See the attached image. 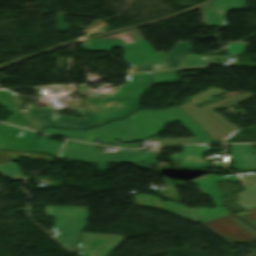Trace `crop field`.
<instances>
[{"instance_id": "1", "label": "crop field", "mask_w": 256, "mask_h": 256, "mask_svg": "<svg viewBox=\"0 0 256 256\" xmlns=\"http://www.w3.org/2000/svg\"><path fill=\"white\" fill-rule=\"evenodd\" d=\"M176 120L195 137L160 139L163 146L194 141L201 143L214 141L177 106L167 110H138L124 120L87 130L84 141L96 143L95 140L98 139L102 144H115L117 139L124 143L138 141L140 138L145 140L164 131L167 123Z\"/></svg>"}, {"instance_id": "2", "label": "crop field", "mask_w": 256, "mask_h": 256, "mask_svg": "<svg viewBox=\"0 0 256 256\" xmlns=\"http://www.w3.org/2000/svg\"><path fill=\"white\" fill-rule=\"evenodd\" d=\"M151 78V73L130 75L127 84L113 88L107 95L94 100L85 98L86 116L95 126L123 118L138 109L139 97L150 85Z\"/></svg>"}, {"instance_id": "3", "label": "crop field", "mask_w": 256, "mask_h": 256, "mask_svg": "<svg viewBox=\"0 0 256 256\" xmlns=\"http://www.w3.org/2000/svg\"><path fill=\"white\" fill-rule=\"evenodd\" d=\"M75 143L67 142L60 157L87 161V162H98V166L101 171H104L105 166L108 162H132L139 166L145 167L150 163H153L157 159V153H143L140 150L126 149L118 153L111 155L101 154L96 145L86 143ZM142 162H145L144 164Z\"/></svg>"}, {"instance_id": "4", "label": "crop field", "mask_w": 256, "mask_h": 256, "mask_svg": "<svg viewBox=\"0 0 256 256\" xmlns=\"http://www.w3.org/2000/svg\"><path fill=\"white\" fill-rule=\"evenodd\" d=\"M145 41L138 39L132 44H125V41L122 40H88L82 46L86 51L111 50L115 47H123L125 52L123 58L133 66L160 63L167 54L164 51L157 53Z\"/></svg>"}, {"instance_id": "5", "label": "crop field", "mask_w": 256, "mask_h": 256, "mask_svg": "<svg viewBox=\"0 0 256 256\" xmlns=\"http://www.w3.org/2000/svg\"><path fill=\"white\" fill-rule=\"evenodd\" d=\"M88 208L46 206V213L56 218L55 236L66 247H76L78 236L88 224Z\"/></svg>"}, {"instance_id": "6", "label": "crop field", "mask_w": 256, "mask_h": 256, "mask_svg": "<svg viewBox=\"0 0 256 256\" xmlns=\"http://www.w3.org/2000/svg\"><path fill=\"white\" fill-rule=\"evenodd\" d=\"M217 181H238V180L235 175L220 177V176L209 174L207 176L200 177L191 181V183H195L199 185V188L202 193L211 195L213 201L217 206V208H213V209H208V208L196 209L201 224L211 220L230 216V213L228 212V210L222 207L223 194L221 193L216 183Z\"/></svg>"}, {"instance_id": "7", "label": "crop field", "mask_w": 256, "mask_h": 256, "mask_svg": "<svg viewBox=\"0 0 256 256\" xmlns=\"http://www.w3.org/2000/svg\"><path fill=\"white\" fill-rule=\"evenodd\" d=\"M124 239L119 235L83 233L79 252L82 256H109Z\"/></svg>"}, {"instance_id": "8", "label": "crop field", "mask_w": 256, "mask_h": 256, "mask_svg": "<svg viewBox=\"0 0 256 256\" xmlns=\"http://www.w3.org/2000/svg\"><path fill=\"white\" fill-rule=\"evenodd\" d=\"M36 123L40 126H52V127H64V128H74L82 129L93 126V124L86 119H75L63 115H57L55 111L50 107L45 109H31L30 114H28Z\"/></svg>"}, {"instance_id": "9", "label": "crop field", "mask_w": 256, "mask_h": 256, "mask_svg": "<svg viewBox=\"0 0 256 256\" xmlns=\"http://www.w3.org/2000/svg\"><path fill=\"white\" fill-rule=\"evenodd\" d=\"M135 198H136L137 206L156 208V209H159L177 216H181L199 223L195 209H186L181 204H177L169 201L161 202L160 198L148 196V195H137L135 196Z\"/></svg>"}, {"instance_id": "10", "label": "crop field", "mask_w": 256, "mask_h": 256, "mask_svg": "<svg viewBox=\"0 0 256 256\" xmlns=\"http://www.w3.org/2000/svg\"><path fill=\"white\" fill-rule=\"evenodd\" d=\"M229 9H246V0H214L203 14V24L225 26L224 15Z\"/></svg>"}, {"instance_id": "11", "label": "crop field", "mask_w": 256, "mask_h": 256, "mask_svg": "<svg viewBox=\"0 0 256 256\" xmlns=\"http://www.w3.org/2000/svg\"><path fill=\"white\" fill-rule=\"evenodd\" d=\"M208 150L209 145L184 146L182 154L174 153L171 159L179 160L181 167H208L209 163L202 160L203 154Z\"/></svg>"}, {"instance_id": "12", "label": "crop field", "mask_w": 256, "mask_h": 256, "mask_svg": "<svg viewBox=\"0 0 256 256\" xmlns=\"http://www.w3.org/2000/svg\"><path fill=\"white\" fill-rule=\"evenodd\" d=\"M215 221L247 243L256 240V230L235 215Z\"/></svg>"}, {"instance_id": "13", "label": "crop field", "mask_w": 256, "mask_h": 256, "mask_svg": "<svg viewBox=\"0 0 256 256\" xmlns=\"http://www.w3.org/2000/svg\"><path fill=\"white\" fill-rule=\"evenodd\" d=\"M192 46L189 45V42L178 41L174 48L170 51V53L165 57L161 64L151 65V66H143L139 67L141 71L156 69V68H164L169 66L177 65L181 59L190 52Z\"/></svg>"}, {"instance_id": "14", "label": "crop field", "mask_w": 256, "mask_h": 256, "mask_svg": "<svg viewBox=\"0 0 256 256\" xmlns=\"http://www.w3.org/2000/svg\"><path fill=\"white\" fill-rule=\"evenodd\" d=\"M47 139H48L47 136L38 137L34 151L35 152H46L56 158L63 143L56 142V141H50Z\"/></svg>"}, {"instance_id": "15", "label": "crop field", "mask_w": 256, "mask_h": 256, "mask_svg": "<svg viewBox=\"0 0 256 256\" xmlns=\"http://www.w3.org/2000/svg\"><path fill=\"white\" fill-rule=\"evenodd\" d=\"M19 156H23V157L29 158L31 160L40 159V160H46L49 162H52L54 160L51 157H49L47 155H43V154L0 151V163L13 161L14 159H16Z\"/></svg>"}, {"instance_id": "16", "label": "crop field", "mask_w": 256, "mask_h": 256, "mask_svg": "<svg viewBox=\"0 0 256 256\" xmlns=\"http://www.w3.org/2000/svg\"><path fill=\"white\" fill-rule=\"evenodd\" d=\"M185 69H205V67L184 68V69H177V70H166V71H161V72H154V80L148 90H150L155 84L179 82V80L174 72L180 71V70H185Z\"/></svg>"}, {"instance_id": "17", "label": "crop field", "mask_w": 256, "mask_h": 256, "mask_svg": "<svg viewBox=\"0 0 256 256\" xmlns=\"http://www.w3.org/2000/svg\"><path fill=\"white\" fill-rule=\"evenodd\" d=\"M202 225L208 228L209 230H211L212 232H214L215 234H217L219 237L224 239L229 244H232L235 242H243L242 240H240L239 238L231 234L229 231H227L226 229H224L214 221L208 222Z\"/></svg>"}, {"instance_id": "18", "label": "crop field", "mask_w": 256, "mask_h": 256, "mask_svg": "<svg viewBox=\"0 0 256 256\" xmlns=\"http://www.w3.org/2000/svg\"><path fill=\"white\" fill-rule=\"evenodd\" d=\"M41 132L51 134V135L64 136L68 139L80 140V141H83L84 133H85V131L60 130V129H52V128H43Z\"/></svg>"}, {"instance_id": "19", "label": "crop field", "mask_w": 256, "mask_h": 256, "mask_svg": "<svg viewBox=\"0 0 256 256\" xmlns=\"http://www.w3.org/2000/svg\"><path fill=\"white\" fill-rule=\"evenodd\" d=\"M201 65H204V56L188 54L183 58V60L176 67L201 66Z\"/></svg>"}, {"instance_id": "20", "label": "crop field", "mask_w": 256, "mask_h": 256, "mask_svg": "<svg viewBox=\"0 0 256 256\" xmlns=\"http://www.w3.org/2000/svg\"><path fill=\"white\" fill-rule=\"evenodd\" d=\"M128 36L126 34H116L105 38L100 39H123L126 41V43H132L135 39L142 38L140 33L137 30L128 31Z\"/></svg>"}, {"instance_id": "21", "label": "crop field", "mask_w": 256, "mask_h": 256, "mask_svg": "<svg viewBox=\"0 0 256 256\" xmlns=\"http://www.w3.org/2000/svg\"><path fill=\"white\" fill-rule=\"evenodd\" d=\"M238 217L242 218L244 221L248 222L256 219V209L250 210L244 213L236 214Z\"/></svg>"}, {"instance_id": "22", "label": "crop field", "mask_w": 256, "mask_h": 256, "mask_svg": "<svg viewBox=\"0 0 256 256\" xmlns=\"http://www.w3.org/2000/svg\"><path fill=\"white\" fill-rule=\"evenodd\" d=\"M243 45L238 43H228L227 53H242Z\"/></svg>"}, {"instance_id": "23", "label": "crop field", "mask_w": 256, "mask_h": 256, "mask_svg": "<svg viewBox=\"0 0 256 256\" xmlns=\"http://www.w3.org/2000/svg\"><path fill=\"white\" fill-rule=\"evenodd\" d=\"M58 31H68L70 26H64L63 15L57 14Z\"/></svg>"}, {"instance_id": "24", "label": "crop field", "mask_w": 256, "mask_h": 256, "mask_svg": "<svg viewBox=\"0 0 256 256\" xmlns=\"http://www.w3.org/2000/svg\"><path fill=\"white\" fill-rule=\"evenodd\" d=\"M103 23H104V22L98 20V21L92 23V24L89 26V28H88L86 31H84L83 33L86 34V33H88L89 31L93 30L94 28L100 26V25L103 24Z\"/></svg>"}, {"instance_id": "25", "label": "crop field", "mask_w": 256, "mask_h": 256, "mask_svg": "<svg viewBox=\"0 0 256 256\" xmlns=\"http://www.w3.org/2000/svg\"><path fill=\"white\" fill-rule=\"evenodd\" d=\"M110 27L107 26L106 24L103 25L102 27L98 28L97 30H95L94 32H92L91 34H89L88 36L92 35V34H95V32L97 31H101V30H105V29H109Z\"/></svg>"}, {"instance_id": "26", "label": "crop field", "mask_w": 256, "mask_h": 256, "mask_svg": "<svg viewBox=\"0 0 256 256\" xmlns=\"http://www.w3.org/2000/svg\"><path fill=\"white\" fill-rule=\"evenodd\" d=\"M248 224H250L252 227H254L256 229V220L248 222Z\"/></svg>"}, {"instance_id": "27", "label": "crop field", "mask_w": 256, "mask_h": 256, "mask_svg": "<svg viewBox=\"0 0 256 256\" xmlns=\"http://www.w3.org/2000/svg\"><path fill=\"white\" fill-rule=\"evenodd\" d=\"M134 72H141L139 69H132V70H130L127 74H129V73H134Z\"/></svg>"}, {"instance_id": "28", "label": "crop field", "mask_w": 256, "mask_h": 256, "mask_svg": "<svg viewBox=\"0 0 256 256\" xmlns=\"http://www.w3.org/2000/svg\"><path fill=\"white\" fill-rule=\"evenodd\" d=\"M85 88H86V85H84V86H79L78 90H79V91H85Z\"/></svg>"}, {"instance_id": "29", "label": "crop field", "mask_w": 256, "mask_h": 256, "mask_svg": "<svg viewBox=\"0 0 256 256\" xmlns=\"http://www.w3.org/2000/svg\"><path fill=\"white\" fill-rule=\"evenodd\" d=\"M79 115H84L83 109H77Z\"/></svg>"}, {"instance_id": "30", "label": "crop field", "mask_w": 256, "mask_h": 256, "mask_svg": "<svg viewBox=\"0 0 256 256\" xmlns=\"http://www.w3.org/2000/svg\"><path fill=\"white\" fill-rule=\"evenodd\" d=\"M169 68H173V67H169ZM165 69H167V68H165ZM157 70H159V69H157Z\"/></svg>"}]
</instances>
